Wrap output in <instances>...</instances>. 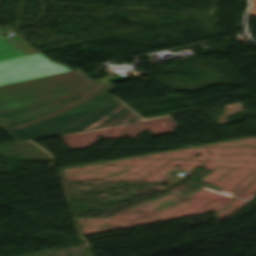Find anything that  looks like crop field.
Masks as SVG:
<instances>
[{
    "instance_id": "crop-field-1",
    "label": "crop field",
    "mask_w": 256,
    "mask_h": 256,
    "mask_svg": "<svg viewBox=\"0 0 256 256\" xmlns=\"http://www.w3.org/2000/svg\"><path fill=\"white\" fill-rule=\"evenodd\" d=\"M140 120L80 70L0 87V127L18 141Z\"/></svg>"
},
{
    "instance_id": "crop-field-2",
    "label": "crop field",
    "mask_w": 256,
    "mask_h": 256,
    "mask_svg": "<svg viewBox=\"0 0 256 256\" xmlns=\"http://www.w3.org/2000/svg\"><path fill=\"white\" fill-rule=\"evenodd\" d=\"M70 71L37 53L0 61V86Z\"/></svg>"
},
{
    "instance_id": "crop-field-3",
    "label": "crop field",
    "mask_w": 256,
    "mask_h": 256,
    "mask_svg": "<svg viewBox=\"0 0 256 256\" xmlns=\"http://www.w3.org/2000/svg\"><path fill=\"white\" fill-rule=\"evenodd\" d=\"M7 30L10 28H0V34ZM26 44L18 35L6 38L0 35V60L25 55L17 46Z\"/></svg>"
},
{
    "instance_id": "crop-field-4",
    "label": "crop field",
    "mask_w": 256,
    "mask_h": 256,
    "mask_svg": "<svg viewBox=\"0 0 256 256\" xmlns=\"http://www.w3.org/2000/svg\"><path fill=\"white\" fill-rule=\"evenodd\" d=\"M19 48H20L26 55L32 54V53H37V52H38V51H36L35 49H33L32 47H30L29 45L20 46Z\"/></svg>"
}]
</instances>
